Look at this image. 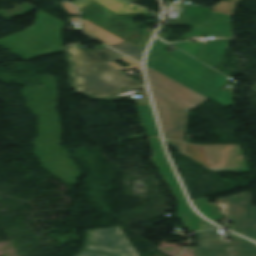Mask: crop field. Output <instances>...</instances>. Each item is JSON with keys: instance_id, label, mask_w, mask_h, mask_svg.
Masks as SVG:
<instances>
[{"instance_id": "obj_1", "label": "crop field", "mask_w": 256, "mask_h": 256, "mask_svg": "<svg viewBox=\"0 0 256 256\" xmlns=\"http://www.w3.org/2000/svg\"><path fill=\"white\" fill-rule=\"evenodd\" d=\"M65 50L71 64L70 82L77 92L99 98L143 86L107 64L125 58L108 48L85 51L75 45Z\"/></svg>"}, {"instance_id": "obj_2", "label": "crop field", "mask_w": 256, "mask_h": 256, "mask_svg": "<svg viewBox=\"0 0 256 256\" xmlns=\"http://www.w3.org/2000/svg\"><path fill=\"white\" fill-rule=\"evenodd\" d=\"M146 65L223 106L232 105L230 93L220 91L226 77L177 49Z\"/></svg>"}, {"instance_id": "obj_3", "label": "crop field", "mask_w": 256, "mask_h": 256, "mask_svg": "<svg viewBox=\"0 0 256 256\" xmlns=\"http://www.w3.org/2000/svg\"><path fill=\"white\" fill-rule=\"evenodd\" d=\"M63 22L38 10L36 24L27 30L0 40V46L24 60L63 52L60 32Z\"/></svg>"}, {"instance_id": "obj_4", "label": "crop field", "mask_w": 256, "mask_h": 256, "mask_svg": "<svg viewBox=\"0 0 256 256\" xmlns=\"http://www.w3.org/2000/svg\"><path fill=\"white\" fill-rule=\"evenodd\" d=\"M149 141L153 152L152 160L154 164L160 169L162 177L169 184L174 195L179 200L177 212L178 218L181 219L185 226L191 230L188 232L202 230L200 222L205 220L199 217L189 206L178 180L167 160L161 139L149 137Z\"/></svg>"}, {"instance_id": "obj_5", "label": "crop field", "mask_w": 256, "mask_h": 256, "mask_svg": "<svg viewBox=\"0 0 256 256\" xmlns=\"http://www.w3.org/2000/svg\"><path fill=\"white\" fill-rule=\"evenodd\" d=\"M152 92L166 144L181 150L188 111Z\"/></svg>"}, {"instance_id": "obj_6", "label": "crop field", "mask_w": 256, "mask_h": 256, "mask_svg": "<svg viewBox=\"0 0 256 256\" xmlns=\"http://www.w3.org/2000/svg\"><path fill=\"white\" fill-rule=\"evenodd\" d=\"M146 74L151 90L188 111L208 99L147 66Z\"/></svg>"}, {"instance_id": "obj_7", "label": "crop field", "mask_w": 256, "mask_h": 256, "mask_svg": "<svg viewBox=\"0 0 256 256\" xmlns=\"http://www.w3.org/2000/svg\"><path fill=\"white\" fill-rule=\"evenodd\" d=\"M83 249L105 252L111 256H138L120 227L87 231Z\"/></svg>"}, {"instance_id": "obj_8", "label": "crop field", "mask_w": 256, "mask_h": 256, "mask_svg": "<svg viewBox=\"0 0 256 256\" xmlns=\"http://www.w3.org/2000/svg\"><path fill=\"white\" fill-rule=\"evenodd\" d=\"M217 201L225 202L226 215L235 217L234 231L256 241V207H252L251 194L244 192Z\"/></svg>"}, {"instance_id": "obj_9", "label": "crop field", "mask_w": 256, "mask_h": 256, "mask_svg": "<svg viewBox=\"0 0 256 256\" xmlns=\"http://www.w3.org/2000/svg\"><path fill=\"white\" fill-rule=\"evenodd\" d=\"M180 22L215 36L230 35L229 17L206 8L183 4Z\"/></svg>"}, {"instance_id": "obj_10", "label": "crop field", "mask_w": 256, "mask_h": 256, "mask_svg": "<svg viewBox=\"0 0 256 256\" xmlns=\"http://www.w3.org/2000/svg\"><path fill=\"white\" fill-rule=\"evenodd\" d=\"M79 10L82 17L97 23L126 40L134 26V24L93 1Z\"/></svg>"}, {"instance_id": "obj_11", "label": "crop field", "mask_w": 256, "mask_h": 256, "mask_svg": "<svg viewBox=\"0 0 256 256\" xmlns=\"http://www.w3.org/2000/svg\"><path fill=\"white\" fill-rule=\"evenodd\" d=\"M218 171L249 172L240 145H201Z\"/></svg>"}, {"instance_id": "obj_12", "label": "crop field", "mask_w": 256, "mask_h": 256, "mask_svg": "<svg viewBox=\"0 0 256 256\" xmlns=\"http://www.w3.org/2000/svg\"><path fill=\"white\" fill-rule=\"evenodd\" d=\"M197 235V248H210V249H244L256 250V244L235 236V242H219L215 236L214 230L199 232Z\"/></svg>"}, {"instance_id": "obj_13", "label": "crop field", "mask_w": 256, "mask_h": 256, "mask_svg": "<svg viewBox=\"0 0 256 256\" xmlns=\"http://www.w3.org/2000/svg\"><path fill=\"white\" fill-rule=\"evenodd\" d=\"M92 0H74L73 4L77 5L78 8H81L85 4L89 3ZM102 6L108 8L109 10L119 14H139V13H149L147 10H144L136 5L125 3L121 0H93Z\"/></svg>"}, {"instance_id": "obj_14", "label": "crop field", "mask_w": 256, "mask_h": 256, "mask_svg": "<svg viewBox=\"0 0 256 256\" xmlns=\"http://www.w3.org/2000/svg\"><path fill=\"white\" fill-rule=\"evenodd\" d=\"M226 41L227 39L207 41L199 60L207 63V65L211 67L216 68L228 44Z\"/></svg>"}, {"instance_id": "obj_15", "label": "crop field", "mask_w": 256, "mask_h": 256, "mask_svg": "<svg viewBox=\"0 0 256 256\" xmlns=\"http://www.w3.org/2000/svg\"><path fill=\"white\" fill-rule=\"evenodd\" d=\"M82 23L84 26V31L87 34L91 35L92 37L98 39L99 41H101L109 46L117 44L122 41H125L124 39L106 31L102 27L98 26L97 24H95L87 19H82Z\"/></svg>"}, {"instance_id": "obj_16", "label": "crop field", "mask_w": 256, "mask_h": 256, "mask_svg": "<svg viewBox=\"0 0 256 256\" xmlns=\"http://www.w3.org/2000/svg\"><path fill=\"white\" fill-rule=\"evenodd\" d=\"M142 121V125L148 135L160 136L151 106H137Z\"/></svg>"}, {"instance_id": "obj_17", "label": "crop field", "mask_w": 256, "mask_h": 256, "mask_svg": "<svg viewBox=\"0 0 256 256\" xmlns=\"http://www.w3.org/2000/svg\"><path fill=\"white\" fill-rule=\"evenodd\" d=\"M182 151L184 154L188 155L208 169L217 171L202 147L185 144Z\"/></svg>"}, {"instance_id": "obj_18", "label": "crop field", "mask_w": 256, "mask_h": 256, "mask_svg": "<svg viewBox=\"0 0 256 256\" xmlns=\"http://www.w3.org/2000/svg\"><path fill=\"white\" fill-rule=\"evenodd\" d=\"M194 206L211 221L221 220L223 216L218 210L217 203H208L207 199L193 200Z\"/></svg>"}, {"instance_id": "obj_19", "label": "crop field", "mask_w": 256, "mask_h": 256, "mask_svg": "<svg viewBox=\"0 0 256 256\" xmlns=\"http://www.w3.org/2000/svg\"><path fill=\"white\" fill-rule=\"evenodd\" d=\"M197 256H256V251L197 249Z\"/></svg>"}, {"instance_id": "obj_20", "label": "crop field", "mask_w": 256, "mask_h": 256, "mask_svg": "<svg viewBox=\"0 0 256 256\" xmlns=\"http://www.w3.org/2000/svg\"><path fill=\"white\" fill-rule=\"evenodd\" d=\"M111 47L126 54V55H129L130 57H132L133 59H135L137 61H142L144 50L136 47L135 45H133L127 41L119 43V44L111 46Z\"/></svg>"}, {"instance_id": "obj_21", "label": "crop field", "mask_w": 256, "mask_h": 256, "mask_svg": "<svg viewBox=\"0 0 256 256\" xmlns=\"http://www.w3.org/2000/svg\"><path fill=\"white\" fill-rule=\"evenodd\" d=\"M205 43H197V42H180L171 44L180 50L188 53L189 55L198 58L203 46Z\"/></svg>"}, {"instance_id": "obj_22", "label": "crop field", "mask_w": 256, "mask_h": 256, "mask_svg": "<svg viewBox=\"0 0 256 256\" xmlns=\"http://www.w3.org/2000/svg\"><path fill=\"white\" fill-rule=\"evenodd\" d=\"M168 47H170V45L160 41L158 38H155L148 52L146 62L168 53V51L164 50Z\"/></svg>"}, {"instance_id": "obj_23", "label": "crop field", "mask_w": 256, "mask_h": 256, "mask_svg": "<svg viewBox=\"0 0 256 256\" xmlns=\"http://www.w3.org/2000/svg\"><path fill=\"white\" fill-rule=\"evenodd\" d=\"M211 9L220 11V12L226 14V15L233 16V14L235 13V10H236V5L221 2V3L213 6Z\"/></svg>"}, {"instance_id": "obj_24", "label": "crop field", "mask_w": 256, "mask_h": 256, "mask_svg": "<svg viewBox=\"0 0 256 256\" xmlns=\"http://www.w3.org/2000/svg\"><path fill=\"white\" fill-rule=\"evenodd\" d=\"M63 8L70 14H74L77 15L76 13V9L74 8V6L72 4L66 3V2H62L60 3Z\"/></svg>"}, {"instance_id": "obj_25", "label": "crop field", "mask_w": 256, "mask_h": 256, "mask_svg": "<svg viewBox=\"0 0 256 256\" xmlns=\"http://www.w3.org/2000/svg\"><path fill=\"white\" fill-rule=\"evenodd\" d=\"M192 32H193V33L184 35V36H183L184 39H186V37H191V36H201V35H204V36H212V35H210V34H207V33L203 32V31H200V30H198V29H193Z\"/></svg>"}, {"instance_id": "obj_26", "label": "crop field", "mask_w": 256, "mask_h": 256, "mask_svg": "<svg viewBox=\"0 0 256 256\" xmlns=\"http://www.w3.org/2000/svg\"><path fill=\"white\" fill-rule=\"evenodd\" d=\"M75 256H109V255H102V254H98V253H93V252H88V251L81 250Z\"/></svg>"}, {"instance_id": "obj_27", "label": "crop field", "mask_w": 256, "mask_h": 256, "mask_svg": "<svg viewBox=\"0 0 256 256\" xmlns=\"http://www.w3.org/2000/svg\"><path fill=\"white\" fill-rule=\"evenodd\" d=\"M201 224H202L204 230L216 228L215 225H213V224H211L209 222H204V223H201Z\"/></svg>"}, {"instance_id": "obj_28", "label": "crop field", "mask_w": 256, "mask_h": 256, "mask_svg": "<svg viewBox=\"0 0 256 256\" xmlns=\"http://www.w3.org/2000/svg\"><path fill=\"white\" fill-rule=\"evenodd\" d=\"M70 21H79L77 17H70Z\"/></svg>"}, {"instance_id": "obj_29", "label": "crop field", "mask_w": 256, "mask_h": 256, "mask_svg": "<svg viewBox=\"0 0 256 256\" xmlns=\"http://www.w3.org/2000/svg\"><path fill=\"white\" fill-rule=\"evenodd\" d=\"M230 1L237 3V2H239L240 0H230Z\"/></svg>"}, {"instance_id": "obj_30", "label": "crop field", "mask_w": 256, "mask_h": 256, "mask_svg": "<svg viewBox=\"0 0 256 256\" xmlns=\"http://www.w3.org/2000/svg\"><path fill=\"white\" fill-rule=\"evenodd\" d=\"M127 1H129V2H133V1H135V0H127Z\"/></svg>"}]
</instances>
